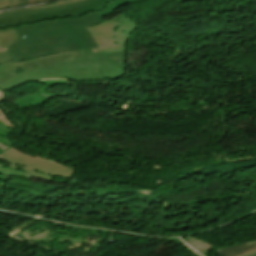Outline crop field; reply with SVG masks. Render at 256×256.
<instances>
[{"instance_id": "14", "label": "crop field", "mask_w": 256, "mask_h": 256, "mask_svg": "<svg viewBox=\"0 0 256 256\" xmlns=\"http://www.w3.org/2000/svg\"><path fill=\"white\" fill-rule=\"evenodd\" d=\"M4 151L0 150V154L3 153Z\"/></svg>"}, {"instance_id": "1", "label": "crop field", "mask_w": 256, "mask_h": 256, "mask_svg": "<svg viewBox=\"0 0 256 256\" xmlns=\"http://www.w3.org/2000/svg\"><path fill=\"white\" fill-rule=\"evenodd\" d=\"M140 1L144 0H115L104 10L85 16L13 27L19 38L5 51L19 63L48 54L99 47L85 27L103 22L100 18L128 3Z\"/></svg>"}, {"instance_id": "13", "label": "crop field", "mask_w": 256, "mask_h": 256, "mask_svg": "<svg viewBox=\"0 0 256 256\" xmlns=\"http://www.w3.org/2000/svg\"><path fill=\"white\" fill-rule=\"evenodd\" d=\"M65 1H70V0H61V1L54 2L52 4H57V3L65 2ZM48 5H51V4H48Z\"/></svg>"}, {"instance_id": "7", "label": "crop field", "mask_w": 256, "mask_h": 256, "mask_svg": "<svg viewBox=\"0 0 256 256\" xmlns=\"http://www.w3.org/2000/svg\"><path fill=\"white\" fill-rule=\"evenodd\" d=\"M256 249V241L218 249L220 256H238Z\"/></svg>"}, {"instance_id": "8", "label": "crop field", "mask_w": 256, "mask_h": 256, "mask_svg": "<svg viewBox=\"0 0 256 256\" xmlns=\"http://www.w3.org/2000/svg\"><path fill=\"white\" fill-rule=\"evenodd\" d=\"M12 131V129L4 126L3 124L0 123V142L12 147L13 142L9 140L8 135L10 134V132Z\"/></svg>"}, {"instance_id": "9", "label": "crop field", "mask_w": 256, "mask_h": 256, "mask_svg": "<svg viewBox=\"0 0 256 256\" xmlns=\"http://www.w3.org/2000/svg\"><path fill=\"white\" fill-rule=\"evenodd\" d=\"M4 93L3 91H0V99L3 97ZM0 122L3 123L4 125L14 129L16 128L15 126H13L10 121L7 119V117L2 113V111L0 110Z\"/></svg>"}, {"instance_id": "12", "label": "crop field", "mask_w": 256, "mask_h": 256, "mask_svg": "<svg viewBox=\"0 0 256 256\" xmlns=\"http://www.w3.org/2000/svg\"><path fill=\"white\" fill-rule=\"evenodd\" d=\"M0 149H2V150L5 151L6 149H8V147H6L5 145H3V144L0 143Z\"/></svg>"}, {"instance_id": "10", "label": "crop field", "mask_w": 256, "mask_h": 256, "mask_svg": "<svg viewBox=\"0 0 256 256\" xmlns=\"http://www.w3.org/2000/svg\"><path fill=\"white\" fill-rule=\"evenodd\" d=\"M26 4H35V3H40V2H45V1H49V0H25Z\"/></svg>"}, {"instance_id": "11", "label": "crop field", "mask_w": 256, "mask_h": 256, "mask_svg": "<svg viewBox=\"0 0 256 256\" xmlns=\"http://www.w3.org/2000/svg\"><path fill=\"white\" fill-rule=\"evenodd\" d=\"M243 256H256V251L255 252H251V253H248V254H245Z\"/></svg>"}, {"instance_id": "5", "label": "crop field", "mask_w": 256, "mask_h": 256, "mask_svg": "<svg viewBox=\"0 0 256 256\" xmlns=\"http://www.w3.org/2000/svg\"><path fill=\"white\" fill-rule=\"evenodd\" d=\"M0 159L13 164H0L2 166L32 173L33 176L46 180H54V176L69 178L75 170V167H66L40 157L33 158L13 148L0 155Z\"/></svg>"}, {"instance_id": "4", "label": "crop field", "mask_w": 256, "mask_h": 256, "mask_svg": "<svg viewBox=\"0 0 256 256\" xmlns=\"http://www.w3.org/2000/svg\"><path fill=\"white\" fill-rule=\"evenodd\" d=\"M113 0H80L51 7L20 9L0 13V28L19 26L36 21L67 18L100 11Z\"/></svg>"}, {"instance_id": "2", "label": "crop field", "mask_w": 256, "mask_h": 256, "mask_svg": "<svg viewBox=\"0 0 256 256\" xmlns=\"http://www.w3.org/2000/svg\"><path fill=\"white\" fill-rule=\"evenodd\" d=\"M87 29L100 48L92 49L96 59L65 62L70 79L85 81L125 76L127 38L137 27L119 14Z\"/></svg>"}, {"instance_id": "3", "label": "crop field", "mask_w": 256, "mask_h": 256, "mask_svg": "<svg viewBox=\"0 0 256 256\" xmlns=\"http://www.w3.org/2000/svg\"><path fill=\"white\" fill-rule=\"evenodd\" d=\"M90 58H95V53L87 49L48 55L19 64H1L0 88L9 90L28 81L69 77L64 61Z\"/></svg>"}, {"instance_id": "6", "label": "crop field", "mask_w": 256, "mask_h": 256, "mask_svg": "<svg viewBox=\"0 0 256 256\" xmlns=\"http://www.w3.org/2000/svg\"><path fill=\"white\" fill-rule=\"evenodd\" d=\"M16 33L12 28L0 29V63L10 61V56L3 50L17 39Z\"/></svg>"}]
</instances>
